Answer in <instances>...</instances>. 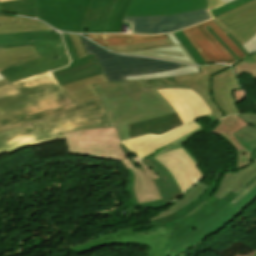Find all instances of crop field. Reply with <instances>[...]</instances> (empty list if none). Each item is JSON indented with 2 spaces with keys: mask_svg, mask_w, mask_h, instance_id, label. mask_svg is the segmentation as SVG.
Returning <instances> with one entry per match:
<instances>
[{
  "mask_svg": "<svg viewBox=\"0 0 256 256\" xmlns=\"http://www.w3.org/2000/svg\"><path fill=\"white\" fill-rule=\"evenodd\" d=\"M101 99L67 105L0 132V154L63 139L60 134L89 128H106Z\"/></svg>",
  "mask_w": 256,
  "mask_h": 256,
  "instance_id": "1",
  "label": "crop field"
},
{
  "mask_svg": "<svg viewBox=\"0 0 256 256\" xmlns=\"http://www.w3.org/2000/svg\"><path fill=\"white\" fill-rule=\"evenodd\" d=\"M71 64L52 72L64 93L78 101L145 88L143 80L108 83L94 55L87 56L79 37L62 33Z\"/></svg>",
  "mask_w": 256,
  "mask_h": 256,
  "instance_id": "2",
  "label": "crop field"
},
{
  "mask_svg": "<svg viewBox=\"0 0 256 256\" xmlns=\"http://www.w3.org/2000/svg\"><path fill=\"white\" fill-rule=\"evenodd\" d=\"M71 103L50 72L13 82L0 88V131Z\"/></svg>",
  "mask_w": 256,
  "mask_h": 256,
  "instance_id": "3",
  "label": "crop field"
},
{
  "mask_svg": "<svg viewBox=\"0 0 256 256\" xmlns=\"http://www.w3.org/2000/svg\"><path fill=\"white\" fill-rule=\"evenodd\" d=\"M164 88L187 87H148L101 98L107 112L105 116L108 126L116 127L121 142L128 140L124 125L175 113L168 102L156 91Z\"/></svg>",
  "mask_w": 256,
  "mask_h": 256,
  "instance_id": "4",
  "label": "crop field"
},
{
  "mask_svg": "<svg viewBox=\"0 0 256 256\" xmlns=\"http://www.w3.org/2000/svg\"><path fill=\"white\" fill-rule=\"evenodd\" d=\"M32 40H62L60 34L39 21L0 16V69L40 58ZM10 83L4 79L0 86Z\"/></svg>",
  "mask_w": 256,
  "mask_h": 256,
  "instance_id": "5",
  "label": "crop field"
},
{
  "mask_svg": "<svg viewBox=\"0 0 256 256\" xmlns=\"http://www.w3.org/2000/svg\"><path fill=\"white\" fill-rule=\"evenodd\" d=\"M201 73L174 77L178 86H188L198 92L211 107L216 120L240 113L233 90L240 89L233 69L227 65L199 67Z\"/></svg>",
  "mask_w": 256,
  "mask_h": 256,
  "instance_id": "6",
  "label": "crop field"
},
{
  "mask_svg": "<svg viewBox=\"0 0 256 256\" xmlns=\"http://www.w3.org/2000/svg\"><path fill=\"white\" fill-rule=\"evenodd\" d=\"M221 175L216 176L213 184L210 185L208 190L197 201H195L184 210L180 211L178 214L169 216L156 222H150L148 224L133 227L132 230L134 231L136 229L148 228L155 225L173 230L168 242L163 249L167 252L193 229L198 227L199 224L220 210L224 205H226L236 196V194L230 192L221 201L210 196L217 188Z\"/></svg>",
  "mask_w": 256,
  "mask_h": 256,
  "instance_id": "7",
  "label": "crop field"
},
{
  "mask_svg": "<svg viewBox=\"0 0 256 256\" xmlns=\"http://www.w3.org/2000/svg\"><path fill=\"white\" fill-rule=\"evenodd\" d=\"M88 55L94 54L109 82L123 81L124 76L148 74L186 65L143 57H127L107 52L80 36Z\"/></svg>",
  "mask_w": 256,
  "mask_h": 256,
  "instance_id": "8",
  "label": "crop field"
},
{
  "mask_svg": "<svg viewBox=\"0 0 256 256\" xmlns=\"http://www.w3.org/2000/svg\"><path fill=\"white\" fill-rule=\"evenodd\" d=\"M62 136L72 155L122 161L131 153L120 143L115 128L82 130Z\"/></svg>",
  "mask_w": 256,
  "mask_h": 256,
  "instance_id": "9",
  "label": "crop field"
},
{
  "mask_svg": "<svg viewBox=\"0 0 256 256\" xmlns=\"http://www.w3.org/2000/svg\"><path fill=\"white\" fill-rule=\"evenodd\" d=\"M163 228L156 226L155 228H150L145 232L135 233L132 232L131 227H129L113 233L101 235L93 240L68 249L79 254L87 252L95 247L105 245H146L152 250L148 256H171L162 250L171 230Z\"/></svg>",
  "mask_w": 256,
  "mask_h": 256,
  "instance_id": "10",
  "label": "crop field"
},
{
  "mask_svg": "<svg viewBox=\"0 0 256 256\" xmlns=\"http://www.w3.org/2000/svg\"><path fill=\"white\" fill-rule=\"evenodd\" d=\"M42 58L1 69L0 73L10 82L27 76L67 66L69 58L63 41H33Z\"/></svg>",
  "mask_w": 256,
  "mask_h": 256,
  "instance_id": "11",
  "label": "crop field"
},
{
  "mask_svg": "<svg viewBox=\"0 0 256 256\" xmlns=\"http://www.w3.org/2000/svg\"><path fill=\"white\" fill-rule=\"evenodd\" d=\"M38 19L66 32H78L91 0H36Z\"/></svg>",
  "mask_w": 256,
  "mask_h": 256,
  "instance_id": "12",
  "label": "crop field"
},
{
  "mask_svg": "<svg viewBox=\"0 0 256 256\" xmlns=\"http://www.w3.org/2000/svg\"><path fill=\"white\" fill-rule=\"evenodd\" d=\"M206 25H209L240 59L245 57L215 23L210 20L182 30L206 64L226 62L231 65L236 62L227 50L209 34L204 27Z\"/></svg>",
  "mask_w": 256,
  "mask_h": 256,
  "instance_id": "13",
  "label": "crop field"
},
{
  "mask_svg": "<svg viewBox=\"0 0 256 256\" xmlns=\"http://www.w3.org/2000/svg\"><path fill=\"white\" fill-rule=\"evenodd\" d=\"M208 19L211 16L206 8L174 16L124 17L123 22L130 24V33L159 34L174 32Z\"/></svg>",
  "mask_w": 256,
  "mask_h": 256,
  "instance_id": "14",
  "label": "crop field"
},
{
  "mask_svg": "<svg viewBox=\"0 0 256 256\" xmlns=\"http://www.w3.org/2000/svg\"><path fill=\"white\" fill-rule=\"evenodd\" d=\"M256 198V188L234 205L228 203L220 211L202 223L167 253L177 256L190 249L207 236L227 224L240 210Z\"/></svg>",
  "mask_w": 256,
  "mask_h": 256,
  "instance_id": "15",
  "label": "crop field"
},
{
  "mask_svg": "<svg viewBox=\"0 0 256 256\" xmlns=\"http://www.w3.org/2000/svg\"><path fill=\"white\" fill-rule=\"evenodd\" d=\"M130 173V182L127 186L128 193L135 206L140 207H162L163 199L153 180L157 175L142 161V166L136 168L130 159L122 161Z\"/></svg>",
  "mask_w": 256,
  "mask_h": 256,
  "instance_id": "16",
  "label": "crop field"
},
{
  "mask_svg": "<svg viewBox=\"0 0 256 256\" xmlns=\"http://www.w3.org/2000/svg\"><path fill=\"white\" fill-rule=\"evenodd\" d=\"M212 20L223 33L230 32L242 45L256 34V0Z\"/></svg>",
  "mask_w": 256,
  "mask_h": 256,
  "instance_id": "17",
  "label": "crop field"
},
{
  "mask_svg": "<svg viewBox=\"0 0 256 256\" xmlns=\"http://www.w3.org/2000/svg\"><path fill=\"white\" fill-rule=\"evenodd\" d=\"M175 109L183 124L213 115L204 99L191 89L157 90Z\"/></svg>",
  "mask_w": 256,
  "mask_h": 256,
  "instance_id": "18",
  "label": "crop field"
},
{
  "mask_svg": "<svg viewBox=\"0 0 256 256\" xmlns=\"http://www.w3.org/2000/svg\"><path fill=\"white\" fill-rule=\"evenodd\" d=\"M206 7V0H132L125 16L174 15Z\"/></svg>",
  "mask_w": 256,
  "mask_h": 256,
  "instance_id": "19",
  "label": "crop field"
},
{
  "mask_svg": "<svg viewBox=\"0 0 256 256\" xmlns=\"http://www.w3.org/2000/svg\"><path fill=\"white\" fill-rule=\"evenodd\" d=\"M155 159L163 163L171 171L183 192L204 178L198 167L182 149L165 153Z\"/></svg>",
  "mask_w": 256,
  "mask_h": 256,
  "instance_id": "20",
  "label": "crop field"
},
{
  "mask_svg": "<svg viewBox=\"0 0 256 256\" xmlns=\"http://www.w3.org/2000/svg\"><path fill=\"white\" fill-rule=\"evenodd\" d=\"M256 187V161L241 170L222 175L218 188L212 196L222 199L230 191L238 194L230 203L234 204Z\"/></svg>",
  "mask_w": 256,
  "mask_h": 256,
  "instance_id": "21",
  "label": "crop field"
},
{
  "mask_svg": "<svg viewBox=\"0 0 256 256\" xmlns=\"http://www.w3.org/2000/svg\"><path fill=\"white\" fill-rule=\"evenodd\" d=\"M200 127L201 126L196 122H190L167 134L161 136H143L126 141L124 144L141 159L151 156L153 153L162 148L163 145L171 143Z\"/></svg>",
  "mask_w": 256,
  "mask_h": 256,
  "instance_id": "22",
  "label": "crop field"
},
{
  "mask_svg": "<svg viewBox=\"0 0 256 256\" xmlns=\"http://www.w3.org/2000/svg\"><path fill=\"white\" fill-rule=\"evenodd\" d=\"M116 0H92L80 33H104Z\"/></svg>",
  "mask_w": 256,
  "mask_h": 256,
  "instance_id": "23",
  "label": "crop field"
},
{
  "mask_svg": "<svg viewBox=\"0 0 256 256\" xmlns=\"http://www.w3.org/2000/svg\"><path fill=\"white\" fill-rule=\"evenodd\" d=\"M182 125L177 113L158 117L148 121L127 125L126 130L130 139L146 134L161 135Z\"/></svg>",
  "mask_w": 256,
  "mask_h": 256,
  "instance_id": "24",
  "label": "crop field"
},
{
  "mask_svg": "<svg viewBox=\"0 0 256 256\" xmlns=\"http://www.w3.org/2000/svg\"><path fill=\"white\" fill-rule=\"evenodd\" d=\"M219 122L220 124L217 125L216 128L211 130L210 132L214 133L215 135L221 133L233 143V145L237 149L236 168H240L249 164L250 162H248L247 160L251 155L245 150L242 144L232 135L233 133L244 127L247 123L237 116H228L220 120Z\"/></svg>",
  "mask_w": 256,
  "mask_h": 256,
  "instance_id": "25",
  "label": "crop field"
},
{
  "mask_svg": "<svg viewBox=\"0 0 256 256\" xmlns=\"http://www.w3.org/2000/svg\"><path fill=\"white\" fill-rule=\"evenodd\" d=\"M142 160L159 176L160 179L155 180V183L165 201V204L170 203L182 195V190L179 188L173 176L164 165L159 163L152 156Z\"/></svg>",
  "mask_w": 256,
  "mask_h": 256,
  "instance_id": "26",
  "label": "crop field"
},
{
  "mask_svg": "<svg viewBox=\"0 0 256 256\" xmlns=\"http://www.w3.org/2000/svg\"><path fill=\"white\" fill-rule=\"evenodd\" d=\"M166 35L171 39L174 45L151 48L124 54L144 55L155 58L196 64L193 58L188 54V52L183 48V46L179 43V41L174 37L173 34Z\"/></svg>",
  "mask_w": 256,
  "mask_h": 256,
  "instance_id": "27",
  "label": "crop field"
},
{
  "mask_svg": "<svg viewBox=\"0 0 256 256\" xmlns=\"http://www.w3.org/2000/svg\"><path fill=\"white\" fill-rule=\"evenodd\" d=\"M85 36L100 43L102 46L126 45V44L142 43V42H149V41L168 38L166 35L138 36V35H130V34H102V35L85 34Z\"/></svg>",
  "mask_w": 256,
  "mask_h": 256,
  "instance_id": "28",
  "label": "crop field"
},
{
  "mask_svg": "<svg viewBox=\"0 0 256 256\" xmlns=\"http://www.w3.org/2000/svg\"><path fill=\"white\" fill-rule=\"evenodd\" d=\"M209 185L202 184L200 182L196 183L190 190L183 194L178 200L172 202L170 206L165 208L163 211L156 214L151 221L159 220L165 218L169 215L175 214L187 207L195 200H197L208 188Z\"/></svg>",
  "mask_w": 256,
  "mask_h": 256,
  "instance_id": "29",
  "label": "crop field"
},
{
  "mask_svg": "<svg viewBox=\"0 0 256 256\" xmlns=\"http://www.w3.org/2000/svg\"><path fill=\"white\" fill-rule=\"evenodd\" d=\"M249 123L243 129L233 134L252 155L256 150V113L237 115Z\"/></svg>",
  "mask_w": 256,
  "mask_h": 256,
  "instance_id": "30",
  "label": "crop field"
},
{
  "mask_svg": "<svg viewBox=\"0 0 256 256\" xmlns=\"http://www.w3.org/2000/svg\"><path fill=\"white\" fill-rule=\"evenodd\" d=\"M0 6V12L20 14L30 16L32 18L37 17V5L35 0H15L3 2L0 3Z\"/></svg>",
  "mask_w": 256,
  "mask_h": 256,
  "instance_id": "31",
  "label": "crop field"
},
{
  "mask_svg": "<svg viewBox=\"0 0 256 256\" xmlns=\"http://www.w3.org/2000/svg\"><path fill=\"white\" fill-rule=\"evenodd\" d=\"M131 0H117L113 12L109 18L105 33L119 32L123 15Z\"/></svg>",
  "mask_w": 256,
  "mask_h": 256,
  "instance_id": "32",
  "label": "crop field"
},
{
  "mask_svg": "<svg viewBox=\"0 0 256 256\" xmlns=\"http://www.w3.org/2000/svg\"><path fill=\"white\" fill-rule=\"evenodd\" d=\"M199 68L188 66L172 71H166V72H160V73H154V74H148V75H140V76H130L125 77L126 80H139V79H151V78H162V77H170V76H177V75H185V74H192V73H198Z\"/></svg>",
  "mask_w": 256,
  "mask_h": 256,
  "instance_id": "33",
  "label": "crop field"
},
{
  "mask_svg": "<svg viewBox=\"0 0 256 256\" xmlns=\"http://www.w3.org/2000/svg\"><path fill=\"white\" fill-rule=\"evenodd\" d=\"M201 131H205V129L201 127L200 129H198V130H196V131H194V132H192V133H190V134L184 136L183 138H181V139H179V140H177V141H175V142H173V143H171V144H169V145L164 146L162 149H160L158 152H156V153H155L154 155H152V156L155 158V157H157V156H159V155H161V154H163V153H165V152H167V151H171V150H175V149L182 148V149L186 152V154L193 160V162H194L197 166L201 165V164L194 158V156L182 145V144H183L187 139H189L191 136H193V135H195V134H197V133H199V132H201Z\"/></svg>",
  "mask_w": 256,
  "mask_h": 256,
  "instance_id": "34",
  "label": "crop field"
},
{
  "mask_svg": "<svg viewBox=\"0 0 256 256\" xmlns=\"http://www.w3.org/2000/svg\"><path fill=\"white\" fill-rule=\"evenodd\" d=\"M170 44H172V42L170 41V39H167V40H161V41H155V42H149V43H143V44L127 45V46H105V48L123 53V52L135 51V50L163 46V45H170Z\"/></svg>",
  "mask_w": 256,
  "mask_h": 256,
  "instance_id": "35",
  "label": "crop field"
},
{
  "mask_svg": "<svg viewBox=\"0 0 256 256\" xmlns=\"http://www.w3.org/2000/svg\"><path fill=\"white\" fill-rule=\"evenodd\" d=\"M233 67H235L238 76L242 75L243 73H246L250 74L252 78L256 80V53L238 62Z\"/></svg>",
  "mask_w": 256,
  "mask_h": 256,
  "instance_id": "36",
  "label": "crop field"
},
{
  "mask_svg": "<svg viewBox=\"0 0 256 256\" xmlns=\"http://www.w3.org/2000/svg\"><path fill=\"white\" fill-rule=\"evenodd\" d=\"M174 35L185 47V49L189 52V54L194 58L197 64H205L204 61L199 56V54L194 49V47L191 45V43L188 41V39L183 35L181 31L174 33Z\"/></svg>",
  "mask_w": 256,
  "mask_h": 256,
  "instance_id": "37",
  "label": "crop field"
},
{
  "mask_svg": "<svg viewBox=\"0 0 256 256\" xmlns=\"http://www.w3.org/2000/svg\"><path fill=\"white\" fill-rule=\"evenodd\" d=\"M249 1H252V0H237L235 2H232V3L228 4V5H224L222 7L216 8L213 11H211V13L214 15V17H216V16H218V15L224 13V12H227V11H229L233 8H236L240 5H243V4H245Z\"/></svg>",
  "mask_w": 256,
  "mask_h": 256,
  "instance_id": "38",
  "label": "crop field"
},
{
  "mask_svg": "<svg viewBox=\"0 0 256 256\" xmlns=\"http://www.w3.org/2000/svg\"><path fill=\"white\" fill-rule=\"evenodd\" d=\"M146 86H156V85H168V86H177L173 77L171 78H163V79H151L144 80Z\"/></svg>",
  "mask_w": 256,
  "mask_h": 256,
  "instance_id": "39",
  "label": "crop field"
},
{
  "mask_svg": "<svg viewBox=\"0 0 256 256\" xmlns=\"http://www.w3.org/2000/svg\"><path fill=\"white\" fill-rule=\"evenodd\" d=\"M242 46L250 55L256 52V35Z\"/></svg>",
  "mask_w": 256,
  "mask_h": 256,
  "instance_id": "40",
  "label": "crop field"
},
{
  "mask_svg": "<svg viewBox=\"0 0 256 256\" xmlns=\"http://www.w3.org/2000/svg\"><path fill=\"white\" fill-rule=\"evenodd\" d=\"M206 28H207V30L211 33V35H212L215 39H217V40L228 50V52H229L237 61L240 60V59L225 45V43L215 34V32H214L209 26H207Z\"/></svg>",
  "mask_w": 256,
  "mask_h": 256,
  "instance_id": "41",
  "label": "crop field"
},
{
  "mask_svg": "<svg viewBox=\"0 0 256 256\" xmlns=\"http://www.w3.org/2000/svg\"><path fill=\"white\" fill-rule=\"evenodd\" d=\"M229 39L243 52V54L247 57L249 54L242 48V46L235 40V38L229 33L227 34Z\"/></svg>",
  "mask_w": 256,
  "mask_h": 256,
  "instance_id": "42",
  "label": "crop field"
},
{
  "mask_svg": "<svg viewBox=\"0 0 256 256\" xmlns=\"http://www.w3.org/2000/svg\"><path fill=\"white\" fill-rule=\"evenodd\" d=\"M209 2H210L213 9L216 8V7L224 5V3L221 0H209Z\"/></svg>",
  "mask_w": 256,
  "mask_h": 256,
  "instance_id": "43",
  "label": "crop field"
},
{
  "mask_svg": "<svg viewBox=\"0 0 256 256\" xmlns=\"http://www.w3.org/2000/svg\"><path fill=\"white\" fill-rule=\"evenodd\" d=\"M256 159V151H255V153L250 157V159H249V161H253V160H255Z\"/></svg>",
  "mask_w": 256,
  "mask_h": 256,
  "instance_id": "44",
  "label": "crop field"
},
{
  "mask_svg": "<svg viewBox=\"0 0 256 256\" xmlns=\"http://www.w3.org/2000/svg\"><path fill=\"white\" fill-rule=\"evenodd\" d=\"M225 4H228V3H230V2H232V1H235V0H222Z\"/></svg>",
  "mask_w": 256,
  "mask_h": 256,
  "instance_id": "45",
  "label": "crop field"
},
{
  "mask_svg": "<svg viewBox=\"0 0 256 256\" xmlns=\"http://www.w3.org/2000/svg\"><path fill=\"white\" fill-rule=\"evenodd\" d=\"M1 79H4V77L0 75V80H1Z\"/></svg>",
  "mask_w": 256,
  "mask_h": 256,
  "instance_id": "46",
  "label": "crop field"
},
{
  "mask_svg": "<svg viewBox=\"0 0 256 256\" xmlns=\"http://www.w3.org/2000/svg\"><path fill=\"white\" fill-rule=\"evenodd\" d=\"M0 1H6V0H0Z\"/></svg>",
  "mask_w": 256,
  "mask_h": 256,
  "instance_id": "47",
  "label": "crop field"
},
{
  "mask_svg": "<svg viewBox=\"0 0 256 256\" xmlns=\"http://www.w3.org/2000/svg\"><path fill=\"white\" fill-rule=\"evenodd\" d=\"M254 104H256V102H254Z\"/></svg>",
  "mask_w": 256,
  "mask_h": 256,
  "instance_id": "48",
  "label": "crop field"
}]
</instances>
